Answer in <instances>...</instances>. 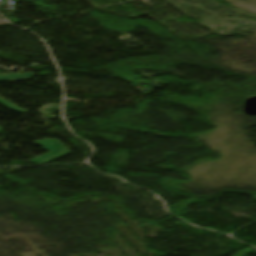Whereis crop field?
Instances as JSON below:
<instances>
[{"label":"crop field","instance_id":"8a807250","mask_svg":"<svg viewBox=\"0 0 256 256\" xmlns=\"http://www.w3.org/2000/svg\"><path fill=\"white\" fill-rule=\"evenodd\" d=\"M1 130H2V129L0 128V132H1Z\"/></svg>","mask_w":256,"mask_h":256}]
</instances>
